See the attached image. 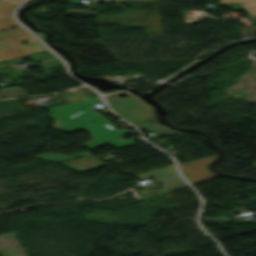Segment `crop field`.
<instances>
[{
  "label": "crop field",
  "instance_id": "crop-field-1",
  "mask_svg": "<svg viewBox=\"0 0 256 256\" xmlns=\"http://www.w3.org/2000/svg\"><path fill=\"white\" fill-rule=\"evenodd\" d=\"M101 103L99 97H91L69 104L48 108L49 118L55 120L53 126L56 130L70 133L77 129L85 130L91 134V141L82 146L93 150L104 144L115 148L132 145L135 138L123 141L122 138L130 134V131H117L116 127L99 114H95L88 105ZM103 105V104H102Z\"/></svg>",
  "mask_w": 256,
  "mask_h": 256
},
{
  "label": "crop field",
  "instance_id": "crop-field-2",
  "mask_svg": "<svg viewBox=\"0 0 256 256\" xmlns=\"http://www.w3.org/2000/svg\"><path fill=\"white\" fill-rule=\"evenodd\" d=\"M23 39L29 43L20 45ZM43 51L47 49L23 27L0 32V62Z\"/></svg>",
  "mask_w": 256,
  "mask_h": 256
},
{
  "label": "crop field",
  "instance_id": "crop-field-3",
  "mask_svg": "<svg viewBox=\"0 0 256 256\" xmlns=\"http://www.w3.org/2000/svg\"><path fill=\"white\" fill-rule=\"evenodd\" d=\"M121 96H126V98L121 99ZM131 97L124 93H113L104 96L109 106L120 117L137 126L148 120V108Z\"/></svg>",
  "mask_w": 256,
  "mask_h": 256
},
{
  "label": "crop field",
  "instance_id": "crop-field-4",
  "mask_svg": "<svg viewBox=\"0 0 256 256\" xmlns=\"http://www.w3.org/2000/svg\"><path fill=\"white\" fill-rule=\"evenodd\" d=\"M214 158L215 155L179 164L180 171L192 185L212 179L217 176L207 171L205 166Z\"/></svg>",
  "mask_w": 256,
  "mask_h": 256
},
{
  "label": "crop field",
  "instance_id": "crop-field-5",
  "mask_svg": "<svg viewBox=\"0 0 256 256\" xmlns=\"http://www.w3.org/2000/svg\"><path fill=\"white\" fill-rule=\"evenodd\" d=\"M22 0H0V30L18 26L12 18V10Z\"/></svg>",
  "mask_w": 256,
  "mask_h": 256
},
{
  "label": "crop field",
  "instance_id": "crop-field-6",
  "mask_svg": "<svg viewBox=\"0 0 256 256\" xmlns=\"http://www.w3.org/2000/svg\"><path fill=\"white\" fill-rule=\"evenodd\" d=\"M159 183L164 186L163 188H161L163 191L153 193V194H150V195H146V196L141 197V198L147 199V198L163 195V194H166L168 192L187 187V184L182 180V178L180 176H176V177H172V178H169V179H166V180H162V181H159Z\"/></svg>",
  "mask_w": 256,
  "mask_h": 256
},
{
  "label": "crop field",
  "instance_id": "crop-field-7",
  "mask_svg": "<svg viewBox=\"0 0 256 256\" xmlns=\"http://www.w3.org/2000/svg\"><path fill=\"white\" fill-rule=\"evenodd\" d=\"M178 175L174 165H170L161 169H156V170H149L147 172L141 173L137 175V177L142 178V177H152L154 178V181L165 179L168 177L176 176Z\"/></svg>",
  "mask_w": 256,
  "mask_h": 256
},
{
  "label": "crop field",
  "instance_id": "crop-field-8",
  "mask_svg": "<svg viewBox=\"0 0 256 256\" xmlns=\"http://www.w3.org/2000/svg\"><path fill=\"white\" fill-rule=\"evenodd\" d=\"M219 1H220V5H223V6L240 4L250 16L256 15V0H219Z\"/></svg>",
  "mask_w": 256,
  "mask_h": 256
},
{
  "label": "crop field",
  "instance_id": "crop-field-9",
  "mask_svg": "<svg viewBox=\"0 0 256 256\" xmlns=\"http://www.w3.org/2000/svg\"><path fill=\"white\" fill-rule=\"evenodd\" d=\"M89 154L90 153L86 152V153L74 154L72 156H67V155L46 153V154H42L39 156H35V158L39 159V160L54 161V162L60 163V162L76 159L73 156L81 157V156H85V155H89Z\"/></svg>",
  "mask_w": 256,
  "mask_h": 256
},
{
  "label": "crop field",
  "instance_id": "crop-field-10",
  "mask_svg": "<svg viewBox=\"0 0 256 256\" xmlns=\"http://www.w3.org/2000/svg\"><path fill=\"white\" fill-rule=\"evenodd\" d=\"M140 129L153 131V132H155V133H157V134H160V135H162V136H165V135H172V134H178V133H179V132L172 131V130L166 131V130H164V129H162V128H160V127H158V126H156V125H154V124H152V123H151V124H148V125H146V126H144V127H142V128H140Z\"/></svg>",
  "mask_w": 256,
  "mask_h": 256
}]
</instances>
